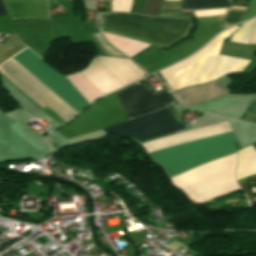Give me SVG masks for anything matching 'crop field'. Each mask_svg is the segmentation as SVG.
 Returning <instances> with one entry per match:
<instances>
[{
	"label": "crop field",
	"mask_w": 256,
	"mask_h": 256,
	"mask_svg": "<svg viewBox=\"0 0 256 256\" xmlns=\"http://www.w3.org/2000/svg\"><path fill=\"white\" fill-rule=\"evenodd\" d=\"M255 20L256 18L249 22L241 24V28L233 34L230 41L247 44L249 41Z\"/></svg>",
	"instance_id": "15"
},
{
	"label": "crop field",
	"mask_w": 256,
	"mask_h": 256,
	"mask_svg": "<svg viewBox=\"0 0 256 256\" xmlns=\"http://www.w3.org/2000/svg\"><path fill=\"white\" fill-rule=\"evenodd\" d=\"M103 95L144 76L129 59L95 57L88 68L80 71Z\"/></svg>",
	"instance_id": "6"
},
{
	"label": "crop field",
	"mask_w": 256,
	"mask_h": 256,
	"mask_svg": "<svg viewBox=\"0 0 256 256\" xmlns=\"http://www.w3.org/2000/svg\"><path fill=\"white\" fill-rule=\"evenodd\" d=\"M223 17L196 18L198 25L194 39L186 41L166 52L150 46L131 58V60L148 74L170 63H175L192 54L217 32L225 28L222 24Z\"/></svg>",
	"instance_id": "5"
},
{
	"label": "crop field",
	"mask_w": 256,
	"mask_h": 256,
	"mask_svg": "<svg viewBox=\"0 0 256 256\" xmlns=\"http://www.w3.org/2000/svg\"><path fill=\"white\" fill-rule=\"evenodd\" d=\"M232 132L149 153L169 177L238 150Z\"/></svg>",
	"instance_id": "4"
},
{
	"label": "crop field",
	"mask_w": 256,
	"mask_h": 256,
	"mask_svg": "<svg viewBox=\"0 0 256 256\" xmlns=\"http://www.w3.org/2000/svg\"><path fill=\"white\" fill-rule=\"evenodd\" d=\"M127 120L119 99L114 92L94 102L69 125L58 131L70 139Z\"/></svg>",
	"instance_id": "7"
},
{
	"label": "crop field",
	"mask_w": 256,
	"mask_h": 256,
	"mask_svg": "<svg viewBox=\"0 0 256 256\" xmlns=\"http://www.w3.org/2000/svg\"><path fill=\"white\" fill-rule=\"evenodd\" d=\"M103 30L160 46L184 37L190 19H161L134 14H102Z\"/></svg>",
	"instance_id": "2"
},
{
	"label": "crop field",
	"mask_w": 256,
	"mask_h": 256,
	"mask_svg": "<svg viewBox=\"0 0 256 256\" xmlns=\"http://www.w3.org/2000/svg\"><path fill=\"white\" fill-rule=\"evenodd\" d=\"M4 14H7V13L5 11L2 1L0 0V15H4Z\"/></svg>",
	"instance_id": "17"
},
{
	"label": "crop field",
	"mask_w": 256,
	"mask_h": 256,
	"mask_svg": "<svg viewBox=\"0 0 256 256\" xmlns=\"http://www.w3.org/2000/svg\"><path fill=\"white\" fill-rule=\"evenodd\" d=\"M13 59L77 111L87 103L64 76L45 64L28 48Z\"/></svg>",
	"instance_id": "8"
},
{
	"label": "crop field",
	"mask_w": 256,
	"mask_h": 256,
	"mask_svg": "<svg viewBox=\"0 0 256 256\" xmlns=\"http://www.w3.org/2000/svg\"><path fill=\"white\" fill-rule=\"evenodd\" d=\"M256 173V151L252 146L241 150L238 154L236 179ZM244 190L251 205L256 203V174L237 181Z\"/></svg>",
	"instance_id": "11"
},
{
	"label": "crop field",
	"mask_w": 256,
	"mask_h": 256,
	"mask_svg": "<svg viewBox=\"0 0 256 256\" xmlns=\"http://www.w3.org/2000/svg\"><path fill=\"white\" fill-rule=\"evenodd\" d=\"M236 153L193 168L171 178L194 202H204L230 191L236 190L234 179Z\"/></svg>",
	"instance_id": "3"
},
{
	"label": "crop field",
	"mask_w": 256,
	"mask_h": 256,
	"mask_svg": "<svg viewBox=\"0 0 256 256\" xmlns=\"http://www.w3.org/2000/svg\"><path fill=\"white\" fill-rule=\"evenodd\" d=\"M116 93L129 120L160 110L178 101L168 88L153 94L139 82Z\"/></svg>",
	"instance_id": "10"
},
{
	"label": "crop field",
	"mask_w": 256,
	"mask_h": 256,
	"mask_svg": "<svg viewBox=\"0 0 256 256\" xmlns=\"http://www.w3.org/2000/svg\"><path fill=\"white\" fill-rule=\"evenodd\" d=\"M90 36L105 55L124 57L104 40L101 33H92Z\"/></svg>",
	"instance_id": "16"
},
{
	"label": "crop field",
	"mask_w": 256,
	"mask_h": 256,
	"mask_svg": "<svg viewBox=\"0 0 256 256\" xmlns=\"http://www.w3.org/2000/svg\"><path fill=\"white\" fill-rule=\"evenodd\" d=\"M10 20L36 18L51 20L49 0H2Z\"/></svg>",
	"instance_id": "12"
},
{
	"label": "crop field",
	"mask_w": 256,
	"mask_h": 256,
	"mask_svg": "<svg viewBox=\"0 0 256 256\" xmlns=\"http://www.w3.org/2000/svg\"><path fill=\"white\" fill-rule=\"evenodd\" d=\"M251 113L255 116L256 118V101L253 103L252 111Z\"/></svg>",
	"instance_id": "18"
},
{
	"label": "crop field",
	"mask_w": 256,
	"mask_h": 256,
	"mask_svg": "<svg viewBox=\"0 0 256 256\" xmlns=\"http://www.w3.org/2000/svg\"><path fill=\"white\" fill-rule=\"evenodd\" d=\"M103 35L108 40V42H110L115 47H117L120 51H122L124 54H126L129 58L150 45V44L126 39L123 37H119V36H115V35H111V34H107V33H103Z\"/></svg>",
	"instance_id": "13"
},
{
	"label": "crop field",
	"mask_w": 256,
	"mask_h": 256,
	"mask_svg": "<svg viewBox=\"0 0 256 256\" xmlns=\"http://www.w3.org/2000/svg\"><path fill=\"white\" fill-rule=\"evenodd\" d=\"M238 27L215 37L190 58L158 72L172 91L215 80L229 72H241L249 60L219 55L222 41Z\"/></svg>",
	"instance_id": "1"
},
{
	"label": "crop field",
	"mask_w": 256,
	"mask_h": 256,
	"mask_svg": "<svg viewBox=\"0 0 256 256\" xmlns=\"http://www.w3.org/2000/svg\"><path fill=\"white\" fill-rule=\"evenodd\" d=\"M230 1L228 0H183V9H199V8H219L230 7Z\"/></svg>",
	"instance_id": "14"
},
{
	"label": "crop field",
	"mask_w": 256,
	"mask_h": 256,
	"mask_svg": "<svg viewBox=\"0 0 256 256\" xmlns=\"http://www.w3.org/2000/svg\"><path fill=\"white\" fill-rule=\"evenodd\" d=\"M180 125L167 108L135 118L133 120L103 129L104 132H116L118 134L133 137L140 141L159 135L181 130Z\"/></svg>",
	"instance_id": "9"
}]
</instances>
